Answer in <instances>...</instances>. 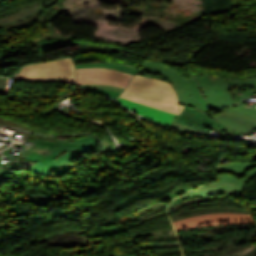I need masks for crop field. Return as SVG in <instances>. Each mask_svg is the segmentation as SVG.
<instances>
[{
    "label": "crop field",
    "instance_id": "bc2a9ffb",
    "mask_svg": "<svg viewBox=\"0 0 256 256\" xmlns=\"http://www.w3.org/2000/svg\"><path fill=\"white\" fill-rule=\"evenodd\" d=\"M190 189H193V188H187V189H182V190L176 191L172 195H170L168 198L173 199L174 197L178 196L179 194L184 193Z\"/></svg>",
    "mask_w": 256,
    "mask_h": 256
},
{
    "label": "crop field",
    "instance_id": "5142ce71",
    "mask_svg": "<svg viewBox=\"0 0 256 256\" xmlns=\"http://www.w3.org/2000/svg\"><path fill=\"white\" fill-rule=\"evenodd\" d=\"M81 86L85 87V88H104V89L115 90V91H120V92L123 91L122 88L108 86V85H102V84H87V85H81Z\"/></svg>",
    "mask_w": 256,
    "mask_h": 256
},
{
    "label": "crop field",
    "instance_id": "3316defc",
    "mask_svg": "<svg viewBox=\"0 0 256 256\" xmlns=\"http://www.w3.org/2000/svg\"><path fill=\"white\" fill-rule=\"evenodd\" d=\"M117 101H119L121 104H123L125 107L129 108L133 112L137 114H141L147 119L155 121L164 126L170 127L173 121L178 117V115H174L168 112H164L158 109H154V108L144 106L138 103H134L128 100H124L121 98H119Z\"/></svg>",
    "mask_w": 256,
    "mask_h": 256
},
{
    "label": "crop field",
    "instance_id": "d8731c3e",
    "mask_svg": "<svg viewBox=\"0 0 256 256\" xmlns=\"http://www.w3.org/2000/svg\"><path fill=\"white\" fill-rule=\"evenodd\" d=\"M176 121H179L188 125H192L207 131H209L211 127L223 132L226 130H229L235 133L236 131L228 126H225L217 122L216 120L210 118L209 116L189 107H185V109L183 110L181 115L176 119Z\"/></svg>",
    "mask_w": 256,
    "mask_h": 256
},
{
    "label": "crop field",
    "instance_id": "8a807250",
    "mask_svg": "<svg viewBox=\"0 0 256 256\" xmlns=\"http://www.w3.org/2000/svg\"><path fill=\"white\" fill-rule=\"evenodd\" d=\"M139 70L167 78L180 104L195 108L241 132L256 129V105L244 104L247 103L245 99L256 94V77L234 81L211 74L199 76L190 73L187 79L165 64L147 60Z\"/></svg>",
    "mask_w": 256,
    "mask_h": 256
},
{
    "label": "crop field",
    "instance_id": "ac0d7876",
    "mask_svg": "<svg viewBox=\"0 0 256 256\" xmlns=\"http://www.w3.org/2000/svg\"><path fill=\"white\" fill-rule=\"evenodd\" d=\"M97 141L98 139L91 135L83 137L74 142L64 140H57V142H53L34 138L32 142L51 146L61 145V148L55 150L47 157L43 156L32 168L28 170V172L53 178L59 177L66 172L76 168L69 163L73 157L86 151L98 149L96 145Z\"/></svg>",
    "mask_w": 256,
    "mask_h": 256
},
{
    "label": "crop field",
    "instance_id": "cbeb9de0",
    "mask_svg": "<svg viewBox=\"0 0 256 256\" xmlns=\"http://www.w3.org/2000/svg\"><path fill=\"white\" fill-rule=\"evenodd\" d=\"M34 163L22 160V162L18 161L15 159L11 164L4 165L9 168H15V169H20V170H25L27 171L30 167H32Z\"/></svg>",
    "mask_w": 256,
    "mask_h": 256
},
{
    "label": "crop field",
    "instance_id": "f4fd0767",
    "mask_svg": "<svg viewBox=\"0 0 256 256\" xmlns=\"http://www.w3.org/2000/svg\"><path fill=\"white\" fill-rule=\"evenodd\" d=\"M175 230L221 224H255L252 215L236 213H212L172 222Z\"/></svg>",
    "mask_w": 256,
    "mask_h": 256
},
{
    "label": "crop field",
    "instance_id": "28ad6ade",
    "mask_svg": "<svg viewBox=\"0 0 256 256\" xmlns=\"http://www.w3.org/2000/svg\"><path fill=\"white\" fill-rule=\"evenodd\" d=\"M42 9H44L43 5L40 6V7H33V8L28 9V10H23V11H20L19 13H17V14H13V15L7 16L5 18H2V19H0V26L6 25V24L17 23L21 20H24V19L38 13Z\"/></svg>",
    "mask_w": 256,
    "mask_h": 256
},
{
    "label": "crop field",
    "instance_id": "5a996713",
    "mask_svg": "<svg viewBox=\"0 0 256 256\" xmlns=\"http://www.w3.org/2000/svg\"><path fill=\"white\" fill-rule=\"evenodd\" d=\"M243 188L244 187L240 185L217 181L214 184H209L201 188H198L192 192H189L187 194L181 195L180 197L174 200L170 208L187 199H191L195 197L210 196L215 194L238 193V192H242Z\"/></svg>",
    "mask_w": 256,
    "mask_h": 256
},
{
    "label": "crop field",
    "instance_id": "412701ff",
    "mask_svg": "<svg viewBox=\"0 0 256 256\" xmlns=\"http://www.w3.org/2000/svg\"><path fill=\"white\" fill-rule=\"evenodd\" d=\"M18 78L36 81H64L75 84L73 57L25 66Z\"/></svg>",
    "mask_w": 256,
    "mask_h": 256
},
{
    "label": "crop field",
    "instance_id": "22f410ed",
    "mask_svg": "<svg viewBox=\"0 0 256 256\" xmlns=\"http://www.w3.org/2000/svg\"><path fill=\"white\" fill-rule=\"evenodd\" d=\"M171 128L179 130V131H183L186 133H191V134H196V135H201V136H205L207 137V134L209 132L195 128V127H191L179 122L174 121V123L171 125Z\"/></svg>",
    "mask_w": 256,
    "mask_h": 256
},
{
    "label": "crop field",
    "instance_id": "733c2abd",
    "mask_svg": "<svg viewBox=\"0 0 256 256\" xmlns=\"http://www.w3.org/2000/svg\"><path fill=\"white\" fill-rule=\"evenodd\" d=\"M93 67L107 68L105 63H88V64L76 65V68H93Z\"/></svg>",
    "mask_w": 256,
    "mask_h": 256
},
{
    "label": "crop field",
    "instance_id": "e52e79f7",
    "mask_svg": "<svg viewBox=\"0 0 256 256\" xmlns=\"http://www.w3.org/2000/svg\"><path fill=\"white\" fill-rule=\"evenodd\" d=\"M221 174L218 180L244 185L256 175V164L236 162L220 165Z\"/></svg>",
    "mask_w": 256,
    "mask_h": 256
},
{
    "label": "crop field",
    "instance_id": "dd49c442",
    "mask_svg": "<svg viewBox=\"0 0 256 256\" xmlns=\"http://www.w3.org/2000/svg\"><path fill=\"white\" fill-rule=\"evenodd\" d=\"M77 85L86 83H102L125 88L132 75L114 71L112 69H76Z\"/></svg>",
    "mask_w": 256,
    "mask_h": 256
},
{
    "label": "crop field",
    "instance_id": "4a817a6b",
    "mask_svg": "<svg viewBox=\"0 0 256 256\" xmlns=\"http://www.w3.org/2000/svg\"><path fill=\"white\" fill-rule=\"evenodd\" d=\"M91 90L108 95L114 99L117 98L121 94L120 92H114V91H109V90H104V89H91Z\"/></svg>",
    "mask_w": 256,
    "mask_h": 256
},
{
    "label": "crop field",
    "instance_id": "d1516ede",
    "mask_svg": "<svg viewBox=\"0 0 256 256\" xmlns=\"http://www.w3.org/2000/svg\"><path fill=\"white\" fill-rule=\"evenodd\" d=\"M43 47H37V49L40 51L41 54L51 51L54 49H58L65 46H74V45H81V46H87L91 44H84V43H78L74 42L73 39H62V40H56V41H50V42H44L41 43Z\"/></svg>",
    "mask_w": 256,
    "mask_h": 256
},
{
    "label": "crop field",
    "instance_id": "34b2d1b8",
    "mask_svg": "<svg viewBox=\"0 0 256 256\" xmlns=\"http://www.w3.org/2000/svg\"><path fill=\"white\" fill-rule=\"evenodd\" d=\"M120 97L178 115L184 109V106L178 104L170 83L138 75H135Z\"/></svg>",
    "mask_w": 256,
    "mask_h": 256
},
{
    "label": "crop field",
    "instance_id": "d9b57169",
    "mask_svg": "<svg viewBox=\"0 0 256 256\" xmlns=\"http://www.w3.org/2000/svg\"><path fill=\"white\" fill-rule=\"evenodd\" d=\"M16 175H18V174L13 172L12 170L0 168V182L6 180L8 178L14 177Z\"/></svg>",
    "mask_w": 256,
    "mask_h": 256
},
{
    "label": "crop field",
    "instance_id": "214f88e0",
    "mask_svg": "<svg viewBox=\"0 0 256 256\" xmlns=\"http://www.w3.org/2000/svg\"><path fill=\"white\" fill-rule=\"evenodd\" d=\"M0 59H3V60H4V59H5V56H0Z\"/></svg>",
    "mask_w": 256,
    "mask_h": 256
}]
</instances>
